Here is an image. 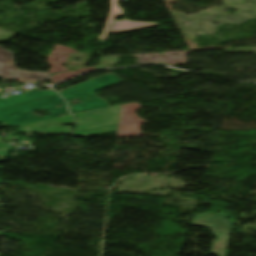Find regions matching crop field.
I'll return each mask as SVG.
<instances>
[{
  "mask_svg": "<svg viewBox=\"0 0 256 256\" xmlns=\"http://www.w3.org/2000/svg\"><path fill=\"white\" fill-rule=\"evenodd\" d=\"M120 81H122V79L110 73L61 91L59 94L67 101L69 106L73 107L70 111L75 114L83 110L90 111L109 107L108 102L100 99L93 94V92ZM72 99H79L83 104L71 105Z\"/></svg>",
  "mask_w": 256,
  "mask_h": 256,
  "instance_id": "crop-field-1",
  "label": "crop field"
},
{
  "mask_svg": "<svg viewBox=\"0 0 256 256\" xmlns=\"http://www.w3.org/2000/svg\"><path fill=\"white\" fill-rule=\"evenodd\" d=\"M62 104L59 109L54 108L56 105ZM34 109H44L51 114L46 117H39L32 113ZM67 113L64 101L58 96H52L0 110L1 127L13 126L21 123L33 122L43 119L55 118L61 114ZM16 114L11 117L10 115Z\"/></svg>",
  "mask_w": 256,
  "mask_h": 256,
  "instance_id": "crop-field-2",
  "label": "crop field"
},
{
  "mask_svg": "<svg viewBox=\"0 0 256 256\" xmlns=\"http://www.w3.org/2000/svg\"><path fill=\"white\" fill-rule=\"evenodd\" d=\"M228 216L206 213L204 215L195 214L193 216V225L207 227L213 230L218 239L214 241L211 253L225 256L229 236L234 222L227 220Z\"/></svg>",
  "mask_w": 256,
  "mask_h": 256,
  "instance_id": "crop-field-3",
  "label": "crop field"
},
{
  "mask_svg": "<svg viewBox=\"0 0 256 256\" xmlns=\"http://www.w3.org/2000/svg\"><path fill=\"white\" fill-rule=\"evenodd\" d=\"M120 107H109L76 114L78 127L75 132L117 124Z\"/></svg>",
  "mask_w": 256,
  "mask_h": 256,
  "instance_id": "crop-field-4",
  "label": "crop field"
},
{
  "mask_svg": "<svg viewBox=\"0 0 256 256\" xmlns=\"http://www.w3.org/2000/svg\"><path fill=\"white\" fill-rule=\"evenodd\" d=\"M14 72V75H10ZM0 76L3 79H13L16 81H26V82H43L50 80L51 77L45 72H27L17 70L13 62L12 53L4 50L0 46ZM35 77V79H32Z\"/></svg>",
  "mask_w": 256,
  "mask_h": 256,
  "instance_id": "crop-field-5",
  "label": "crop field"
},
{
  "mask_svg": "<svg viewBox=\"0 0 256 256\" xmlns=\"http://www.w3.org/2000/svg\"><path fill=\"white\" fill-rule=\"evenodd\" d=\"M119 0H111V9L108 16L107 24L104 28L103 34L98 38L100 44L104 45L109 33H120L126 31H133L137 29L158 26L157 23L131 22L123 20L121 22L113 21L117 16H122V8L117 6ZM119 23V25H117Z\"/></svg>",
  "mask_w": 256,
  "mask_h": 256,
  "instance_id": "crop-field-6",
  "label": "crop field"
},
{
  "mask_svg": "<svg viewBox=\"0 0 256 256\" xmlns=\"http://www.w3.org/2000/svg\"><path fill=\"white\" fill-rule=\"evenodd\" d=\"M62 124H74L73 118L71 115L57 118V119H49L44 121H38L33 123L21 124L18 125L20 131L26 130H59V131H71L72 129H63L61 128Z\"/></svg>",
  "mask_w": 256,
  "mask_h": 256,
  "instance_id": "crop-field-7",
  "label": "crop field"
},
{
  "mask_svg": "<svg viewBox=\"0 0 256 256\" xmlns=\"http://www.w3.org/2000/svg\"><path fill=\"white\" fill-rule=\"evenodd\" d=\"M55 94L56 93L52 90L38 91L34 89L31 92L9 97L8 99L0 98V108H4L7 106H11V105H15V104H19V103H23V102H27V101L55 95Z\"/></svg>",
  "mask_w": 256,
  "mask_h": 256,
  "instance_id": "crop-field-8",
  "label": "crop field"
},
{
  "mask_svg": "<svg viewBox=\"0 0 256 256\" xmlns=\"http://www.w3.org/2000/svg\"><path fill=\"white\" fill-rule=\"evenodd\" d=\"M115 131H117V125L98 128V129L89 130V131L77 132V133H73V134L78 135V136H90V135L105 134V133H110V132H115Z\"/></svg>",
  "mask_w": 256,
  "mask_h": 256,
  "instance_id": "crop-field-9",
  "label": "crop field"
},
{
  "mask_svg": "<svg viewBox=\"0 0 256 256\" xmlns=\"http://www.w3.org/2000/svg\"><path fill=\"white\" fill-rule=\"evenodd\" d=\"M12 148L13 146L0 144V156H7L8 151Z\"/></svg>",
  "mask_w": 256,
  "mask_h": 256,
  "instance_id": "crop-field-10",
  "label": "crop field"
},
{
  "mask_svg": "<svg viewBox=\"0 0 256 256\" xmlns=\"http://www.w3.org/2000/svg\"><path fill=\"white\" fill-rule=\"evenodd\" d=\"M33 132H36V133H57V134H69L71 132H59V131H26V132H23V133H33Z\"/></svg>",
  "mask_w": 256,
  "mask_h": 256,
  "instance_id": "crop-field-11",
  "label": "crop field"
},
{
  "mask_svg": "<svg viewBox=\"0 0 256 256\" xmlns=\"http://www.w3.org/2000/svg\"><path fill=\"white\" fill-rule=\"evenodd\" d=\"M3 234V232L2 231H0V236ZM1 255V254H0Z\"/></svg>",
  "mask_w": 256,
  "mask_h": 256,
  "instance_id": "crop-field-12",
  "label": "crop field"
},
{
  "mask_svg": "<svg viewBox=\"0 0 256 256\" xmlns=\"http://www.w3.org/2000/svg\"><path fill=\"white\" fill-rule=\"evenodd\" d=\"M1 138V137H0Z\"/></svg>",
  "mask_w": 256,
  "mask_h": 256,
  "instance_id": "crop-field-13",
  "label": "crop field"
}]
</instances>
